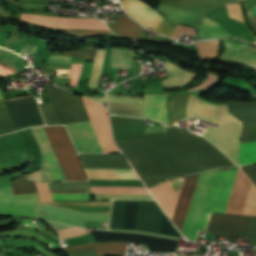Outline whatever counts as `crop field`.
<instances>
[{
	"label": "crop field",
	"instance_id": "obj_1",
	"mask_svg": "<svg viewBox=\"0 0 256 256\" xmlns=\"http://www.w3.org/2000/svg\"><path fill=\"white\" fill-rule=\"evenodd\" d=\"M147 136L176 177L234 165L206 139L182 131L177 126L168 127L167 134ZM115 141L148 188L166 178H175L146 136L119 138Z\"/></svg>",
	"mask_w": 256,
	"mask_h": 256
},
{
	"label": "crop field",
	"instance_id": "obj_2",
	"mask_svg": "<svg viewBox=\"0 0 256 256\" xmlns=\"http://www.w3.org/2000/svg\"><path fill=\"white\" fill-rule=\"evenodd\" d=\"M216 75L207 73V79L202 84L190 89L197 90L214 84ZM189 91V90H188ZM186 95H172L169 106L173 116L174 124L180 119H186L185 108ZM166 95H147L141 98L107 95V101L132 103L140 105L146 118L157 119L166 125H170L164 102ZM166 103V102H165ZM187 119L199 118L206 122L218 124V129L208 127L204 136L211 140L219 149L225 152L229 158L239 165L240 135L243 123L228 113L226 106H210L198 101L194 96L186 97ZM206 138V139H207Z\"/></svg>",
	"mask_w": 256,
	"mask_h": 256
},
{
	"label": "crop field",
	"instance_id": "obj_3",
	"mask_svg": "<svg viewBox=\"0 0 256 256\" xmlns=\"http://www.w3.org/2000/svg\"><path fill=\"white\" fill-rule=\"evenodd\" d=\"M45 91L59 124L89 119L80 97L55 87L46 88ZM83 100L103 151H119L111 138L106 108L94 101L85 98ZM91 122L83 121L65 124L78 152H102Z\"/></svg>",
	"mask_w": 256,
	"mask_h": 256
},
{
	"label": "crop field",
	"instance_id": "obj_4",
	"mask_svg": "<svg viewBox=\"0 0 256 256\" xmlns=\"http://www.w3.org/2000/svg\"><path fill=\"white\" fill-rule=\"evenodd\" d=\"M109 229L181 237L154 200H114Z\"/></svg>",
	"mask_w": 256,
	"mask_h": 256
},
{
	"label": "crop field",
	"instance_id": "obj_5",
	"mask_svg": "<svg viewBox=\"0 0 256 256\" xmlns=\"http://www.w3.org/2000/svg\"><path fill=\"white\" fill-rule=\"evenodd\" d=\"M243 215L256 216V187L251 184ZM249 216L212 213L207 231L215 236L244 238Z\"/></svg>",
	"mask_w": 256,
	"mask_h": 256
},
{
	"label": "crop field",
	"instance_id": "obj_6",
	"mask_svg": "<svg viewBox=\"0 0 256 256\" xmlns=\"http://www.w3.org/2000/svg\"><path fill=\"white\" fill-rule=\"evenodd\" d=\"M67 180L86 179L63 126L43 127Z\"/></svg>",
	"mask_w": 256,
	"mask_h": 256
},
{
	"label": "crop field",
	"instance_id": "obj_7",
	"mask_svg": "<svg viewBox=\"0 0 256 256\" xmlns=\"http://www.w3.org/2000/svg\"><path fill=\"white\" fill-rule=\"evenodd\" d=\"M88 233L93 238L94 242L103 241H130L133 243H139L146 245L149 252H163V253H176L177 245L179 240L168 239L157 236L108 231V230H97L87 229Z\"/></svg>",
	"mask_w": 256,
	"mask_h": 256
},
{
	"label": "crop field",
	"instance_id": "obj_8",
	"mask_svg": "<svg viewBox=\"0 0 256 256\" xmlns=\"http://www.w3.org/2000/svg\"><path fill=\"white\" fill-rule=\"evenodd\" d=\"M229 113L243 123L241 143L256 141V105L228 103ZM256 162V142L241 144L240 165Z\"/></svg>",
	"mask_w": 256,
	"mask_h": 256
},
{
	"label": "crop field",
	"instance_id": "obj_9",
	"mask_svg": "<svg viewBox=\"0 0 256 256\" xmlns=\"http://www.w3.org/2000/svg\"><path fill=\"white\" fill-rule=\"evenodd\" d=\"M216 170L208 171L200 175L192 202L190 204L181 233L189 240L194 241L202 213L211 190Z\"/></svg>",
	"mask_w": 256,
	"mask_h": 256
},
{
	"label": "crop field",
	"instance_id": "obj_10",
	"mask_svg": "<svg viewBox=\"0 0 256 256\" xmlns=\"http://www.w3.org/2000/svg\"><path fill=\"white\" fill-rule=\"evenodd\" d=\"M237 169L218 171L199 229L206 230L211 212L224 213Z\"/></svg>",
	"mask_w": 256,
	"mask_h": 256
},
{
	"label": "crop field",
	"instance_id": "obj_11",
	"mask_svg": "<svg viewBox=\"0 0 256 256\" xmlns=\"http://www.w3.org/2000/svg\"><path fill=\"white\" fill-rule=\"evenodd\" d=\"M31 156L17 132L0 137V171L20 167Z\"/></svg>",
	"mask_w": 256,
	"mask_h": 256
},
{
	"label": "crop field",
	"instance_id": "obj_12",
	"mask_svg": "<svg viewBox=\"0 0 256 256\" xmlns=\"http://www.w3.org/2000/svg\"><path fill=\"white\" fill-rule=\"evenodd\" d=\"M5 103L17 130L44 125L33 96L5 100Z\"/></svg>",
	"mask_w": 256,
	"mask_h": 256
},
{
	"label": "crop field",
	"instance_id": "obj_13",
	"mask_svg": "<svg viewBox=\"0 0 256 256\" xmlns=\"http://www.w3.org/2000/svg\"><path fill=\"white\" fill-rule=\"evenodd\" d=\"M38 194L13 196L11 187L0 189V214L36 217Z\"/></svg>",
	"mask_w": 256,
	"mask_h": 256
},
{
	"label": "crop field",
	"instance_id": "obj_14",
	"mask_svg": "<svg viewBox=\"0 0 256 256\" xmlns=\"http://www.w3.org/2000/svg\"><path fill=\"white\" fill-rule=\"evenodd\" d=\"M41 148V181L66 180L42 127L31 128Z\"/></svg>",
	"mask_w": 256,
	"mask_h": 256
},
{
	"label": "crop field",
	"instance_id": "obj_15",
	"mask_svg": "<svg viewBox=\"0 0 256 256\" xmlns=\"http://www.w3.org/2000/svg\"><path fill=\"white\" fill-rule=\"evenodd\" d=\"M184 178L166 181L149 189L167 214L172 218Z\"/></svg>",
	"mask_w": 256,
	"mask_h": 256
},
{
	"label": "crop field",
	"instance_id": "obj_16",
	"mask_svg": "<svg viewBox=\"0 0 256 256\" xmlns=\"http://www.w3.org/2000/svg\"><path fill=\"white\" fill-rule=\"evenodd\" d=\"M251 182L239 169L225 213L243 214Z\"/></svg>",
	"mask_w": 256,
	"mask_h": 256
},
{
	"label": "crop field",
	"instance_id": "obj_17",
	"mask_svg": "<svg viewBox=\"0 0 256 256\" xmlns=\"http://www.w3.org/2000/svg\"><path fill=\"white\" fill-rule=\"evenodd\" d=\"M122 5L134 18L155 31L163 19L141 0H123Z\"/></svg>",
	"mask_w": 256,
	"mask_h": 256
},
{
	"label": "crop field",
	"instance_id": "obj_18",
	"mask_svg": "<svg viewBox=\"0 0 256 256\" xmlns=\"http://www.w3.org/2000/svg\"><path fill=\"white\" fill-rule=\"evenodd\" d=\"M85 168L131 169L122 154H79Z\"/></svg>",
	"mask_w": 256,
	"mask_h": 256
},
{
	"label": "crop field",
	"instance_id": "obj_19",
	"mask_svg": "<svg viewBox=\"0 0 256 256\" xmlns=\"http://www.w3.org/2000/svg\"><path fill=\"white\" fill-rule=\"evenodd\" d=\"M110 119L114 138L146 135L142 119L117 116Z\"/></svg>",
	"mask_w": 256,
	"mask_h": 256
},
{
	"label": "crop field",
	"instance_id": "obj_20",
	"mask_svg": "<svg viewBox=\"0 0 256 256\" xmlns=\"http://www.w3.org/2000/svg\"><path fill=\"white\" fill-rule=\"evenodd\" d=\"M199 175H193V176H188L185 179L181 195L176 207V210L173 215V222L176 224V226L179 228L181 231L189 204L191 202Z\"/></svg>",
	"mask_w": 256,
	"mask_h": 256
},
{
	"label": "crop field",
	"instance_id": "obj_21",
	"mask_svg": "<svg viewBox=\"0 0 256 256\" xmlns=\"http://www.w3.org/2000/svg\"><path fill=\"white\" fill-rule=\"evenodd\" d=\"M17 132L34 156L30 161V166L24 170L26 173H29L40 168L42 159L41 151L30 128Z\"/></svg>",
	"mask_w": 256,
	"mask_h": 256
},
{
	"label": "crop field",
	"instance_id": "obj_22",
	"mask_svg": "<svg viewBox=\"0 0 256 256\" xmlns=\"http://www.w3.org/2000/svg\"><path fill=\"white\" fill-rule=\"evenodd\" d=\"M51 205L71 208L80 211L109 213L111 202H46Z\"/></svg>",
	"mask_w": 256,
	"mask_h": 256
},
{
	"label": "crop field",
	"instance_id": "obj_23",
	"mask_svg": "<svg viewBox=\"0 0 256 256\" xmlns=\"http://www.w3.org/2000/svg\"><path fill=\"white\" fill-rule=\"evenodd\" d=\"M95 246L96 256L125 255L126 242L118 243H90L63 248L64 250Z\"/></svg>",
	"mask_w": 256,
	"mask_h": 256
},
{
	"label": "crop field",
	"instance_id": "obj_24",
	"mask_svg": "<svg viewBox=\"0 0 256 256\" xmlns=\"http://www.w3.org/2000/svg\"><path fill=\"white\" fill-rule=\"evenodd\" d=\"M225 51L220 57V61L227 63H239L245 64V60L248 54L247 44H231L224 43Z\"/></svg>",
	"mask_w": 256,
	"mask_h": 256
},
{
	"label": "crop field",
	"instance_id": "obj_25",
	"mask_svg": "<svg viewBox=\"0 0 256 256\" xmlns=\"http://www.w3.org/2000/svg\"><path fill=\"white\" fill-rule=\"evenodd\" d=\"M88 178L139 179L133 170L85 169Z\"/></svg>",
	"mask_w": 256,
	"mask_h": 256
},
{
	"label": "crop field",
	"instance_id": "obj_26",
	"mask_svg": "<svg viewBox=\"0 0 256 256\" xmlns=\"http://www.w3.org/2000/svg\"><path fill=\"white\" fill-rule=\"evenodd\" d=\"M165 68L170 72V76L168 79L162 80L164 87L181 86L194 76V74L180 71L168 62L165 63Z\"/></svg>",
	"mask_w": 256,
	"mask_h": 256
},
{
	"label": "crop field",
	"instance_id": "obj_27",
	"mask_svg": "<svg viewBox=\"0 0 256 256\" xmlns=\"http://www.w3.org/2000/svg\"><path fill=\"white\" fill-rule=\"evenodd\" d=\"M0 66L14 73L27 68L29 65L13 54L0 49Z\"/></svg>",
	"mask_w": 256,
	"mask_h": 256
},
{
	"label": "crop field",
	"instance_id": "obj_28",
	"mask_svg": "<svg viewBox=\"0 0 256 256\" xmlns=\"http://www.w3.org/2000/svg\"><path fill=\"white\" fill-rule=\"evenodd\" d=\"M136 52L127 49L113 48L111 56V68L131 67V62Z\"/></svg>",
	"mask_w": 256,
	"mask_h": 256
},
{
	"label": "crop field",
	"instance_id": "obj_29",
	"mask_svg": "<svg viewBox=\"0 0 256 256\" xmlns=\"http://www.w3.org/2000/svg\"><path fill=\"white\" fill-rule=\"evenodd\" d=\"M92 194H148L144 187H91Z\"/></svg>",
	"mask_w": 256,
	"mask_h": 256
},
{
	"label": "crop field",
	"instance_id": "obj_30",
	"mask_svg": "<svg viewBox=\"0 0 256 256\" xmlns=\"http://www.w3.org/2000/svg\"><path fill=\"white\" fill-rule=\"evenodd\" d=\"M109 105H110V108H109L110 113L142 117L141 108L138 105L122 104V103H109Z\"/></svg>",
	"mask_w": 256,
	"mask_h": 256
},
{
	"label": "crop field",
	"instance_id": "obj_31",
	"mask_svg": "<svg viewBox=\"0 0 256 256\" xmlns=\"http://www.w3.org/2000/svg\"><path fill=\"white\" fill-rule=\"evenodd\" d=\"M90 186H143L141 180L89 179Z\"/></svg>",
	"mask_w": 256,
	"mask_h": 256
},
{
	"label": "crop field",
	"instance_id": "obj_32",
	"mask_svg": "<svg viewBox=\"0 0 256 256\" xmlns=\"http://www.w3.org/2000/svg\"><path fill=\"white\" fill-rule=\"evenodd\" d=\"M11 184L14 195L37 192L35 183L27 181L24 174L19 178L12 180Z\"/></svg>",
	"mask_w": 256,
	"mask_h": 256
},
{
	"label": "crop field",
	"instance_id": "obj_33",
	"mask_svg": "<svg viewBox=\"0 0 256 256\" xmlns=\"http://www.w3.org/2000/svg\"><path fill=\"white\" fill-rule=\"evenodd\" d=\"M2 96L0 94V100H2ZM15 127L12 123V120L9 116V113L6 109V106L2 101H0V135L11 132V131H15Z\"/></svg>",
	"mask_w": 256,
	"mask_h": 256
},
{
	"label": "crop field",
	"instance_id": "obj_34",
	"mask_svg": "<svg viewBox=\"0 0 256 256\" xmlns=\"http://www.w3.org/2000/svg\"><path fill=\"white\" fill-rule=\"evenodd\" d=\"M200 27L204 29L212 37H227L230 36L226 29L218 25L217 23L204 18Z\"/></svg>",
	"mask_w": 256,
	"mask_h": 256
},
{
	"label": "crop field",
	"instance_id": "obj_35",
	"mask_svg": "<svg viewBox=\"0 0 256 256\" xmlns=\"http://www.w3.org/2000/svg\"><path fill=\"white\" fill-rule=\"evenodd\" d=\"M105 51L106 50H98L95 60H94V66H93V72H92V76L90 79V83L88 87H92V88H96L97 87V83H98V79H99V75L101 73V65L104 59V55H105Z\"/></svg>",
	"mask_w": 256,
	"mask_h": 256
},
{
	"label": "crop field",
	"instance_id": "obj_36",
	"mask_svg": "<svg viewBox=\"0 0 256 256\" xmlns=\"http://www.w3.org/2000/svg\"><path fill=\"white\" fill-rule=\"evenodd\" d=\"M245 238H250V245L256 246V217H250Z\"/></svg>",
	"mask_w": 256,
	"mask_h": 256
},
{
	"label": "crop field",
	"instance_id": "obj_37",
	"mask_svg": "<svg viewBox=\"0 0 256 256\" xmlns=\"http://www.w3.org/2000/svg\"><path fill=\"white\" fill-rule=\"evenodd\" d=\"M115 28H124V29H140L141 26L138 25L132 19L118 17L115 23Z\"/></svg>",
	"mask_w": 256,
	"mask_h": 256
},
{
	"label": "crop field",
	"instance_id": "obj_38",
	"mask_svg": "<svg viewBox=\"0 0 256 256\" xmlns=\"http://www.w3.org/2000/svg\"><path fill=\"white\" fill-rule=\"evenodd\" d=\"M54 200H88V194H51Z\"/></svg>",
	"mask_w": 256,
	"mask_h": 256
},
{
	"label": "crop field",
	"instance_id": "obj_39",
	"mask_svg": "<svg viewBox=\"0 0 256 256\" xmlns=\"http://www.w3.org/2000/svg\"><path fill=\"white\" fill-rule=\"evenodd\" d=\"M57 232L60 235V239L78 236V235H82V234H87V232L84 229H80V228H76V227L59 230Z\"/></svg>",
	"mask_w": 256,
	"mask_h": 256
},
{
	"label": "crop field",
	"instance_id": "obj_40",
	"mask_svg": "<svg viewBox=\"0 0 256 256\" xmlns=\"http://www.w3.org/2000/svg\"><path fill=\"white\" fill-rule=\"evenodd\" d=\"M225 5H226L229 16L244 22L241 15V9L239 4H225Z\"/></svg>",
	"mask_w": 256,
	"mask_h": 256
},
{
	"label": "crop field",
	"instance_id": "obj_41",
	"mask_svg": "<svg viewBox=\"0 0 256 256\" xmlns=\"http://www.w3.org/2000/svg\"><path fill=\"white\" fill-rule=\"evenodd\" d=\"M35 183H36V186L39 191L40 200L52 201L50 192H49V188H48V184L47 183H38V182H35Z\"/></svg>",
	"mask_w": 256,
	"mask_h": 256
},
{
	"label": "crop field",
	"instance_id": "obj_42",
	"mask_svg": "<svg viewBox=\"0 0 256 256\" xmlns=\"http://www.w3.org/2000/svg\"><path fill=\"white\" fill-rule=\"evenodd\" d=\"M97 198L152 199L151 195H97Z\"/></svg>",
	"mask_w": 256,
	"mask_h": 256
},
{
	"label": "crop field",
	"instance_id": "obj_43",
	"mask_svg": "<svg viewBox=\"0 0 256 256\" xmlns=\"http://www.w3.org/2000/svg\"><path fill=\"white\" fill-rule=\"evenodd\" d=\"M144 93H150V94L164 93L161 82L159 81V82L146 85L144 88Z\"/></svg>",
	"mask_w": 256,
	"mask_h": 256
},
{
	"label": "crop field",
	"instance_id": "obj_44",
	"mask_svg": "<svg viewBox=\"0 0 256 256\" xmlns=\"http://www.w3.org/2000/svg\"><path fill=\"white\" fill-rule=\"evenodd\" d=\"M66 252L69 254V256H93V255H95L94 248L70 250V251H66Z\"/></svg>",
	"mask_w": 256,
	"mask_h": 256
},
{
	"label": "crop field",
	"instance_id": "obj_45",
	"mask_svg": "<svg viewBox=\"0 0 256 256\" xmlns=\"http://www.w3.org/2000/svg\"><path fill=\"white\" fill-rule=\"evenodd\" d=\"M241 168L256 186V165L242 166Z\"/></svg>",
	"mask_w": 256,
	"mask_h": 256
},
{
	"label": "crop field",
	"instance_id": "obj_46",
	"mask_svg": "<svg viewBox=\"0 0 256 256\" xmlns=\"http://www.w3.org/2000/svg\"><path fill=\"white\" fill-rule=\"evenodd\" d=\"M159 80H162V78L149 77L148 80L141 81L140 77L138 76V77L129 79V81L137 84L139 88H142L146 84H149V83H152V82H155V81H159Z\"/></svg>",
	"mask_w": 256,
	"mask_h": 256
},
{
	"label": "crop field",
	"instance_id": "obj_47",
	"mask_svg": "<svg viewBox=\"0 0 256 256\" xmlns=\"http://www.w3.org/2000/svg\"><path fill=\"white\" fill-rule=\"evenodd\" d=\"M61 30V29H58ZM63 31H68L73 35L76 36H85L89 34H109V31H82V30H63Z\"/></svg>",
	"mask_w": 256,
	"mask_h": 256
},
{
	"label": "crop field",
	"instance_id": "obj_48",
	"mask_svg": "<svg viewBox=\"0 0 256 256\" xmlns=\"http://www.w3.org/2000/svg\"><path fill=\"white\" fill-rule=\"evenodd\" d=\"M173 28L174 25H171L163 19L162 23L160 24L156 32L169 36Z\"/></svg>",
	"mask_w": 256,
	"mask_h": 256
},
{
	"label": "crop field",
	"instance_id": "obj_49",
	"mask_svg": "<svg viewBox=\"0 0 256 256\" xmlns=\"http://www.w3.org/2000/svg\"><path fill=\"white\" fill-rule=\"evenodd\" d=\"M245 66L256 71V51L250 49Z\"/></svg>",
	"mask_w": 256,
	"mask_h": 256
},
{
	"label": "crop field",
	"instance_id": "obj_50",
	"mask_svg": "<svg viewBox=\"0 0 256 256\" xmlns=\"http://www.w3.org/2000/svg\"><path fill=\"white\" fill-rule=\"evenodd\" d=\"M49 61L70 63L71 56L51 55Z\"/></svg>",
	"mask_w": 256,
	"mask_h": 256
},
{
	"label": "crop field",
	"instance_id": "obj_51",
	"mask_svg": "<svg viewBox=\"0 0 256 256\" xmlns=\"http://www.w3.org/2000/svg\"><path fill=\"white\" fill-rule=\"evenodd\" d=\"M112 32L121 34L126 37H133V38H138L140 32H133V31H119V30H113Z\"/></svg>",
	"mask_w": 256,
	"mask_h": 256
},
{
	"label": "crop field",
	"instance_id": "obj_52",
	"mask_svg": "<svg viewBox=\"0 0 256 256\" xmlns=\"http://www.w3.org/2000/svg\"><path fill=\"white\" fill-rule=\"evenodd\" d=\"M147 132H153V133H166V127L159 126V127H149L146 128Z\"/></svg>",
	"mask_w": 256,
	"mask_h": 256
},
{
	"label": "crop field",
	"instance_id": "obj_53",
	"mask_svg": "<svg viewBox=\"0 0 256 256\" xmlns=\"http://www.w3.org/2000/svg\"><path fill=\"white\" fill-rule=\"evenodd\" d=\"M28 180H32V181H40V169L27 175L26 176Z\"/></svg>",
	"mask_w": 256,
	"mask_h": 256
},
{
	"label": "crop field",
	"instance_id": "obj_54",
	"mask_svg": "<svg viewBox=\"0 0 256 256\" xmlns=\"http://www.w3.org/2000/svg\"><path fill=\"white\" fill-rule=\"evenodd\" d=\"M22 173H15V174H12V175H9V176H6V177H0V185L4 184L5 182L13 179L14 177L20 175Z\"/></svg>",
	"mask_w": 256,
	"mask_h": 256
},
{
	"label": "crop field",
	"instance_id": "obj_55",
	"mask_svg": "<svg viewBox=\"0 0 256 256\" xmlns=\"http://www.w3.org/2000/svg\"><path fill=\"white\" fill-rule=\"evenodd\" d=\"M49 224H50L55 230L69 227V226H65V225H61V224H57V223H53V222H49Z\"/></svg>",
	"mask_w": 256,
	"mask_h": 256
},
{
	"label": "crop field",
	"instance_id": "obj_56",
	"mask_svg": "<svg viewBox=\"0 0 256 256\" xmlns=\"http://www.w3.org/2000/svg\"><path fill=\"white\" fill-rule=\"evenodd\" d=\"M85 97H86V96H85ZM87 98L93 99V100H95V101H99V102H101L104 106H106L104 97H87Z\"/></svg>",
	"mask_w": 256,
	"mask_h": 256
},
{
	"label": "crop field",
	"instance_id": "obj_57",
	"mask_svg": "<svg viewBox=\"0 0 256 256\" xmlns=\"http://www.w3.org/2000/svg\"><path fill=\"white\" fill-rule=\"evenodd\" d=\"M199 249H200L199 252H207V248H206L205 246H203V245H201V246L199 247ZM199 252H196V254H198Z\"/></svg>",
	"mask_w": 256,
	"mask_h": 256
}]
</instances>
